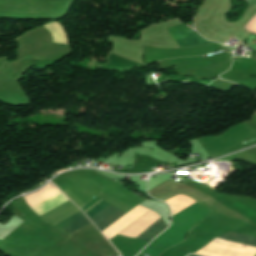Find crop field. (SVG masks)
Returning <instances> with one entry per match:
<instances>
[{
	"instance_id": "e52e79f7",
	"label": "crop field",
	"mask_w": 256,
	"mask_h": 256,
	"mask_svg": "<svg viewBox=\"0 0 256 256\" xmlns=\"http://www.w3.org/2000/svg\"><path fill=\"white\" fill-rule=\"evenodd\" d=\"M188 256H195V255H188Z\"/></svg>"
},
{
	"instance_id": "34b2d1b8",
	"label": "crop field",
	"mask_w": 256,
	"mask_h": 256,
	"mask_svg": "<svg viewBox=\"0 0 256 256\" xmlns=\"http://www.w3.org/2000/svg\"><path fill=\"white\" fill-rule=\"evenodd\" d=\"M89 224L91 223L82 213L58 228L71 235Z\"/></svg>"
},
{
	"instance_id": "ac0d7876",
	"label": "crop field",
	"mask_w": 256,
	"mask_h": 256,
	"mask_svg": "<svg viewBox=\"0 0 256 256\" xmlns=\"http://www.w3.org/2000/svg\"><path fill=\"white\" fill-rule=\"evenodd\" d=\"M167 30L181 48L206 46L213 43L204 40L187 26L171 27Z\"/></svg>"
},
{
	"instance_id": "f4fd0767",
	"label": "crop field",
	"mask_w": 256,
	"mask_h": 256,
	"mask_svg": "<svg viewBox=\"0 0 256 256\" xmlns=\"http://www.w3.org/2000/svg\"><path fill=\"white\" fill-rule=\"evenodd\" d=\"M166 224H164L161 220V218L159 220H157L155 223H153L151 226H149L147 229H145L143 232H141L138 236H136V239H141L144 241H147L150 237H152L155 233H157L159 230H161L163 227H165ZM167 227V226H166ZM165 227V228H166ZM165 228H163L162 230H164ZM161 230V231H162ZM161 231H159L158 233H160ZM157 233V234H158ZM157 234H155L154 236H156ZM153 236V237H154ZM152 237V238H153ZM150 238L149 241L152 239Z\"/></svg>"
},
{
	"instance_id": "412701ff",
	"label": "crop field",
	"mask_w": 256,
	"mask_h": 256,
	"mask_svg": "<svg viewBox=\"0 0 256 256\" xmlns=\"http://www.w3.org/2000/svg\"><path fill=\"white\" fill-rule=\"evenodd\" d=\"M218 238L256 247V237L229 231ZM199 255V254H198Z\"/></svg>"
},
{
	"instance_id": "8a807250",
	"label": "crop field",
	"mask_w": 256,
	"mask_h": 256,
	"mask_svg": "<svg viewBox=\"0 0 256 256\" xmlns=\"http://www.w3.org/2000/svg\"><path fill=\"white\" fill-rule=\"evenodd\" d=\"M106 203H107L106 201L101 199L97 203H95L93 206L88 208L86 211H84V213L89 217L98 209H100L102 206H104ZM126 213L127 212L108 203L107 205H105L103 208H101L99 211H97L95 214H93L89 218L101 231L106 227H108L110 224L114 223L116 220H118L120 217H122Z\"/></svg>"
},
{
	"instance_id": "dd49c442",
	"label": "crop field",
	"mask_w": 256,
	"mask_h": 256,
	"mask_svg": "<svg viewBox=\"0 0 256 256\" xmlns=\"http://www.w3.org/2000/svg\"><path fill=\"white\" fill-rule=\"evenodd\" d=\"M184 197H185V196H184ZM182 198H183V197H182ZM187 198H188V197H187ZM175 199H176V198H175ZM180 199H181V198H180ZM185 199H186V198H185ZM189 199H190V198H189ZM189 199H187V200H189ZM169 200H170V199H169ZM173 200H174V199H173ZM178 200H179V199H178ZM178 200H176V201H178ZM183 200H184V199H183ZM187 200H185V201H187ZM167 201H168V200H167ZM171 201H172V200H171ZM176 201H175V202H176ZM181 201H182V200H181ZM185 201H183V202H185ZM165 202H166V201H165ZM169 202H170V201H169ZM179 202H180V201H179ZM179 202H178V203H179ZM183 202H182V203H183ZM194 202H195V201H194ZM194 202H192V203H194ZM167 203H168V202H167ZM173 203H174V202H173ZM192 203H190V204H192ZM171 204H172V203H171ZM176 204H177V203H176ZM180 204H181V203H180ZM190 204H188V205H190ZM169 205H170V204H169ZM174 205H175V204H174ZM178 205H179V204H178ZM188 205H187V206H188ZM172 206H173V205H172ZM187 206H185V207H187ZM185 207H183V208H185ZM183 208H181V209H183ZM181 209H179V210H181ZM171 210H172V209H171ZM179 210H178V211H179ZM178 211H176V212H178ZM176 212H174V213H176ZM174 213H172V214H174Z\"/></svg>"
}]
</instances>
